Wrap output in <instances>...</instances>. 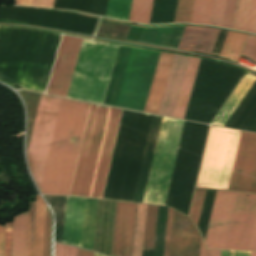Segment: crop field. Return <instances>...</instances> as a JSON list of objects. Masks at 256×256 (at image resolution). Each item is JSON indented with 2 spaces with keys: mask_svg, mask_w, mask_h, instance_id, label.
Returning a JSON list of instances; mask_svg holds the SVG:
<instances>
[{
  "mask_svg": "<svg viewBox=\"0 0 256 256\" xmlns=\"http://www.w3.org/2000/svg\"><path fill=\"white\" fill-rule=\"evenodd\" d=\"M89 106L41 94L27 156L42 194L68 195Z\"/></svg>",
  "mask_w": 256,
  "mask_h": 256,
  "instance_id": "crop-field-1",
  "label": "crop field"
},
{
  "mask_svg": "<svg viewBox=\"0 0 256 256\" xmlns=\"http://www.w3.org/2000/svg\"><path fill=\"white\" fill-rule=\"evenodd\" d=\"M82 41L63 36L47 93L67 96ZM118 46L84 40L67 97L102 104Z\"/></svg>",
  "mask_w": 256,
  "mask_h": 256,
  "instance_id": "crop-field-2",
  "label": "crop field"
},
{
  "mask_svg": "<svg viewBox=\"0 0 256 256\" xmlns=\"http://www.w3.org/2000/svg\"><path fill=\"white\" fill-rule=\"evenodd\" d=\"M121 112L91 104L69 195L101 199Z\"/></svg>",
  "mask_w": 256,
  "mask_h": 256,
  "instance_id": "crop-field-3",
  "label": "crop field"
},
{
  "mask_svg": "<svg viewBox=\"0 0 256 256\" xmlns=\"http://www.w3.org/2000/svg\"><path fill=\"white\" fill-rule=\"evenodd\" d=\"M158 52L119 47L105 104L144 109Z\"/></svg>",
  "mask_w": 256,
  "mask_h": 256,
  "instance_id": "crop-field-4",
  "label": "crop field"
},
{
  "mask_svg": "<svg viewBox=\"0 0 256 256\" xmlns=\"http://www.w3.org/2000/svg\"><path fill=\"white\" fill-rule=\"evenodd\" d=\"M255 215L256 195L217 191L207 247L247 250Z\"/></svg>",
  "mask_w": 256,
  "mask_h": 256,
  "instance_id": "crop-field-5",
  "label": "crop field"
},
{
  "mask_svg": "<svg viewBox=\"0 0 256 256\" xmlns=\"http://www.w3.org/2000/svg\"><path fill=\"white\" fill-rule=\"evenodd\" d=\"M244 73L201 58L184 119L211 123Z\"/></svg>",
  "mask_w": 256,
  "mask_h": 256,
  "instance_id": "crop-field-6",
  "label": "crop field"
},
{
  "mask_svg": "<svg viewBox=\"0 0 256 256\" xmlns=\"http://www.w3.org/2000/svg\"><path fill=\"white\" fill-rule=\"evenodd\" d=\"M209 126L185 121L165 205L188 215Z\"/></svg>",
  "mask_w": 256,
  "mask_h": 256,
  "instance_id": "crop-field-7",
  "label": "crop field"
},
{
  "mask_svg": "<svg viewBox=\"0 0 256 256\" xmlns=\"http://www.w3.org/2000/svg\"><path fill=\"white\" fill-rule=\"evenodd\" d=\"M240 134L211 126L196 186L227 190Z\"/></svg>",
  "mask_w": 256,
  "mask_h": 256,
  "instance_id": "crop-field-8",
  "label": "crop field"
},
{
  "mask_svg": "<svg viewBox=\"0 0 256 256\" xmlns=\"http://www.w3.org/2000/svg\"><path fill=\"white\" fill-rule=\"evenodd\" d=\"M183 123L163 117L143 203L164 205Z\"/></svg>",
  "mask_w": 256,
  "mask_h": 256,
  "instance_id": "crop-field-9",
  "label": "crop field"
},
{
  "mask_svg": "<svg viewBox=\"0 0 256 256\" xmlns=\"http://www.w3.org/2000/svg\"><path fill=\"white\" fill-rule=\"evenodd\" d=\"M173 55L174 54L164 52L160 54L144 110L146 112L155 114L158 112ZM188 58L189 57L186 56L174 55L158 114L170 117L173 116Z\"/></svg>",
  "mask_w": 256,
  "mask_h": 256,
  "instance_id": "crop-field-10",
  "label": "crop field"
},
{
  "mask_svg": "<svg viewBox=\"0 0 256 256\" xmlns=\"http://www.w3.org/2000/svg\"><path fill=\"white\" fill-rule=\"evenodd\" d=\"M228 190L256 193V134L242 132Z\"/></svg>",
  "mask_w": 256,
  "mask_h": 256,
  "instance_id": "crop-field-11",
  "label": "crop field"
},
{
  "mask_svg": "<svg viewBox=\"0 0 256 256\" xmlns=\"http://www.w3.org/2000/svg\"><path fill=\"white\" fill-rule=\"evenodd\" d=\"M136 208L117 202L111 256H132Z\"/></svg>",
  "mask_w": 256,
  "mask_h": 256,
  "instance_id": "crop-field-12",
  "label": "crop field"
},
{
  "mask_svg": "<svg viewBox=\"0 0 256 256\" xmlns=\"http://www.w3.org/2000/svg\"><path fill=\"white\" fill-rule=\"evenodd\" d=\"M199 233L188 217L174 211L170 256H199Z\"/></svg>",
  "mask_w": 256,
  "mask_h": 256,
  "instance_id": "crop-field-13",
  "label": "crop field"
},
{
  "mask_svg": "<svg viewBox=\"0 0 256 256\" xmlns=\"http://www.w3.org/2000/svg\"><path fill=\"white\" fill-rule=\"evenodd\" d=\"M183 30V26L155 28L131 26L126 39L177 48Z\"/></svg>",
  "mask_w": 256,
  "mask_h": 256,
  "instance_id": "crop-field-14",
  "label": "crop field"
},
{
  "mask_svg": "<svg viewBox=\"0 0 256 256\" xmlns=\"http://www.w3.org/2000/svg\"><path fill=\"white\" fill-rule=\"evenodd\" d=\"M85 203L86 199L67 197L62 242L81 247Z\"/></svg>",
  "mask_w": 256,
  "mask_h": 256,
  "instance_id": "crop-field-15",
  "label": "crop field"
},
{
  "mask_svg": "<svg viewBox=\"0 0 256 256\" xmlns=\"http://www.w3.org/2000/svg\"><path fill=\"white\" fill-rule=\"evenodd\" d=\"M219 31L214 28L186 26L178 49L211 54Z\"/></svg>",
  "mask_w": 256,
  "mask_h": 256,
  "instance_id": "crop-field-16",
  "label": "crop field"
},
{
  "mask_svg": "<svg viewBox=\"0 0 256 256\" xmlns=\"http://www.w3.org/2000/svg\"><path fill=\"white\" fill-rule=\"evenodd\" d=\"M255 81L256 78L250 75L243 77L212 124L224 126Z\"/></svg>",
  "mask_w": 256,
  "mask_h": 256,
  "instance_id": "crop-field-17",
  "label": "crop field"
},
{
  "mask_svg": "<svg viewBox=\"0 0 256 256\" xmlns=\"http://www.w3.org/2000/svg\"><path fill=\"white\" fill-rule=\"evenodd\" d=\"M233 29L256 34V0H238Z\"/></svg>",
  "mask_w": 256,
  "mask_h": 256,
  "instance_id": "crop-field-18",
  "label": "crop field"
},
{
  "mask_svg": "<svg viewBox=\"0 0 256 256\" xmlns=\"http://www.w3.org/2000/svg\"><path fill=\"white\" fill-rule=\"evenodd\" d=\"M199 60H200L199 58H194V57L189 58L186 73L184 76L181 91L179 94V98H178L176 109H175L174 116H173L175 118L183 119L186 105L188 102V98L190 95V91H191L193 81L195 78V74L197 71V67L199 64Z\"/></svg>",
  "mask_w": 256,
  "mask_h": 256,
  "instance_id": "crop-field-19",
  "label": "crop field"
},
{
  "mask_svg": "<svg viewBox=\"0 0 256 256\" xmlns=\"http://www.w3.org/2000/svg\"><path fill=\"white\" fill-rule=\"evenodd\" d=\"M237 0H216L211 25L232 29Z\"/></svg>",
  "mask_w": 256,
  "mask_h": 256,
  "instance_id": "crop-field-20",
  "label": "crop field"
},
{
  "mask_svg": "<svg viewBox=\"0 0 256 256\" xmlns=\"http://www.w3.org/2000/svg\"><path fill=\"white\" fill-rule=\"evenodd\" d=\"M27 212L14 218L11 256H25Z\"/></svg>",
  "mask_w": 256,
  "mask_h": 256,
  "instance_id": "crop-field-21",
  "label": "crop field"
},
{
  "mask_svg": "<svg viewBox=\"0 0 256 256\" xmlns=\"http://www.w3.org/2000/svg\"><path fill=\"white\" fill-rule=\"evenodd\" d=\"M247 36L246 34L228 31L219 56L238 62Z\"/></svg>",
  "mask_w": 256,
  "mask_h": 256,
  "instance_id": "crop-field-22",
  "label": "crop field"
},
{
  "mask_svg": "<svg viewBox=\"0 0 256 256\" xmlns=\"http://www.w3.org/2000/svg\"><path fill=\"white\" fill-rule=\"evenodd\" d=\"M158 206L147 205L143 248L153 249ZM143 249L142 256H152L153 250Z\"/></svg>",
  "mask_w": 256,
  "mask_h": 256,
  "instance_id": "crop-field-23",
  "label": "crop field"
},
{
  "mask_svg": "<svg viewBox=\"0 0 256 256\" xmlns=\"http://www.w3.org/2000/svg\"><path fill=\"white\" fill-rule=\"evenodd\" d=\"M44 213H45V204L40 198V196L37 195L36 211H35L33 256H42Z\"/></svg>",
  "mask_w": 256,
  "mask_h": 256,
  "instance_id": "crop-field-24",
  "label": "crop field"
},
{
  "mask_svg": "<svg viewBox=\"0 0 256 256\" xmlns=\"http://www.w3.org/2000/svg\"><path fill=\"white\" fill-rule=\"evenodd\" d=\"M215 0H194L190 23L210 25Z\"/></svg>",
  "mask_w": 256,
  "mask_h": 256,
  "instance_id": "crop-field-25",
  "label": "crop field"
},
{
  "mask_svg": "<svg viewBox=\"0 0 256 256\" xmlns=\"http://www.w3.org/2000/svg\"><path fill=\"white\" fill-rule=\"evenodd\" d=\"M153 0H133L129 21L149 24Z\"/></svg>",
  "mask_w": 256,
  "mask_h": 256,
  "instance_id": "crop-field-26",
  "label": "crop field"
},
{
  "mask_svg": "<svg viewBox=\"0 0 256 256\" xmlns=\"http://www.w3.org/2000/svg\"><path fill=\"white\" fill-rule=\"evenodd\" d=\"M132 0H108L107 17L128 21Z\"/></svg>",
  "mask_w": 256,
  "mask_h": 256,
  "instance_id": "crop-field-27",
  "label": "crop field"
},
{
  "mask_svg": "<svg viewBox=\"0 0 256 256\" xmlns=\"http://www.w3.org/2000/svg\"><path fill=\"white\" fill-rule=\"evenodd\" d=\"M146 205L138 204L133 256H141Z\"/></svg>",
  "mask_w": 256,
  "mask_h": 256,
  "instance_id": "crop-field-28",
  "label": "crop field"
},
{
  "mask_svg": "<svg viewBox=\"0 0 256 256\" xmlns=\"http://www.w3.org/2000/svg\"><path fill=\"white\" fill-rule=\"evenodd\" d=\"M193 0H178L175 21L189 23L192 10Z\"/></svg>",
  "mask_w": 256,
  "mask_h": 256,
  "instance_id": "crop-field-29",
  "label": "crop field"
},
{
  "mask_svg": "<svg viewBox=\"0 0 256 256\" xmlns=\"http://www.w3.org/2000/svg\"><path fill=\"white\" fill-rule=\"evenodd\" d=\"M206 190L196 189L189 216L198 225Z\"/></svg>",
  "mask_w": 256,
  "mask_h": 256,
  "instance_id": "crop-field-30",
  "label": "crop field"
},
{
  "mask_svg": "<svg viewBox=\"0 0 256 256\" xmlns=\"http://www.w3.org/2000/svg\"><path fill=\"white\" fill-rule=\"evenodd\" d=\"M35 203H30L27 221L26 256H32Z\"/></svg>",
  "mask_w": 256,
  "mask_h": 256,
  "instance_id": "crop-field-31",
  "label": "crop field"
},
{
  "mask_svg": "<svg viewBox=\"0 0 256 256\" xmlns=\"http://www.w3.org/2000/svg\"><path fill=\"white\" fill-rule=\"evenodd\" d=\"M242 57L250 58V60L256 63V36L249 35L246 41Z\"/></svg>",
  "mask_w": 256,
  "mask_h": 256,
  "instance_id": "crop-field-32",
  "label": "crop field"
},
{
  "mask_svg": "<svg viewBox=\"0 0 256 256\" xmlns=\"http://www.w3.org/2000/svg\"><path fill=\"white\" fill-rule=\"evenodd\" d=\"M51 217L46 208L43 256H50Z\"/></svg>",
  "mask_w": 256,
  "mask_h": 256,
  "instance_id": "crop-field-33",
  "label": "crop field"
},
{
  "mask_svg": "<svg viewBox=\"0 0 256 256\" xmlns=\"http://www.w3.org/2000/svg\"><path fill=\"white\" fill-rule=\"evenodd\" d=\"M15 5L53 8L54 0H16Z\"/></svg>",
  "mask_w": 256,
  "mask_h": 256,
  "instance_id": "crop-field-34",
  "label": "crop field"
},
{
  "mask_svg": "<svg viewBox=\"0 0 256 256\" xmlns=\"http://www.w3.org/2000/svg\"><path fill=\"white\" fill-rule=\"evenodd\" d=\"M77 248L55 243V256H76Z\"/></svg>",
  "mask_w": 256,
  "mask_h": 256,
  "instance_id": "crop-field-35",
  "label": "crop field"
},
{
  "mask_svg": "<svg viewBox=\"0 0 256 256\" xmlns=\"http://www.w3.org/2000/svg\"><path fill=\"white\" fill-rule=\"evenodd\" d=\"M172 214H173V210L169 208L168 221H167V230H166V239H165V248H164V256H168V252H169Z\"/></svg>",
  "mask_w": 256,
  "mask_h": 256,
  "instance_id": "crop-field-36",
  "label": "crop field"
},
{
  "mask_svg": "<svg viewBox=\"0 0 256 256\" xmlns=\"http://www.w3.org/2000/svg\"><path fill=\"white\" fill-rule=\"evenodd\" d=\"M11 233H12V224H6L4 256H10V251H11Z\"/></svg>",
  "mask_w": 256,
  "mask_h": 256,
  "instance_id": "crop-field-37",
  "label": "crop field"
},
{
  "mask_svg": "<svg viewBox=\"0 0 256 256\" xmlns=\"http://www.w3.org/2000/svg\"><path fill=\"white\" fill-rule=\"evenodd\" d=\"M248 250H255L256 251V219H255V223H254V227H253L252 236H251V240H250Z\"/></svg>",
  "mask_w": 256,
  "mask_h": 256,
  "instance_id": "crop-field-38",
  "label": "crop field"
},
{
  "mask_svg": "<svg viewBox=\"0 0 256 256\" xmlns=\"http://www.w3.org/2000/svg\"><path fill=\"white\" fill-rule=\"evenodd\" d=\"M4 236H5V225H0V256H3Z\"/></svg>",
  "mask_w": 256,
  "mask_h": 256,
  "instance_id": "crop-field-39",
  "label": "crop field"
},
{
  "mask_svg": "<svg viewBox=\"0 0 256 256\" xmlns=\"http://www.w3.org/2000/svg\"><path fill=\"white\" fill-rule=\"evenodd\" d=\"M230 256H251V252L230 251Z\"/></svg>",
  "mask_w": 256,
  "mask_h": 256,
  "instance_id": "crop-field-40",
  "label": "crop field"
},
{
  "mask_svg": "<svg viewBox=\"0 0 256 256\" xmlns=\"http://www.w3.org/2000/svg\"><path fill=\"white\" fill-rule=\"evenodd\" d=\"M205 256H220V250L206 249Z\"/></svg>",
  "mask_w": 256,
  "mask_h": 256,
  "instance_id": "crop-field-41",
  "label": "crop field"
},
{
  "mask_svg": "<svg viewBox=\"0 0 256 256\" xmlns=\"http://www.w3.org/2000/svg\"><path fill=\"white\" fill-rule=\"evenodd\" d=\"M77 256H93V252L78 248Z\"/></svg>",
  "mask_w": 256,
  "mask_h": 256,
  "instance_id": "crop-field-42",
  "label": "crop field"
},
{
  "mask_svg": "<svg viewBox=\"0 0 256 256\" xmlns=\"http://www.w3.org/2000/svg\"><path fill=\"white\" fill-rule=\"evenodd\" d=\"M205 254V247L203 241L201 240V248H200V256H204Z\"/></svg>",
  "mask_w": 256,
  "mask_h": 256,
  "instance_id": "crop-field-43",
  "label": "crop field"
},
{
  "mask_svg": "<svg viewBox=\"0 0 256 256\" xmlns=\"http://www.w3.org/2000/svg\"><path fill=\"white\" fill-rule=\"evenodd\" d=\"M94 256H102V255H100V254H97V253H95V252H94Z\"/></svg>",
  "mask_w": 256,
  "mask_h": 256,
  "instance_id": "crop-field-44",
  "label": "crop field"
},
{
  "mask_svg": "<svg viewBox=\"0 0 256 256\" xmlns=\"http://www.w3.org/2000/svg\"><path fill=\"white\" fill-rule=\"evenodd\" d=\"M252 256H256V252H252Z\"/></svg>",
  "mask_w": 256,
  "mask_h": 256,
  "instance_id": "crop-field-45",
  "label": "crop field"
}]
</instances>
